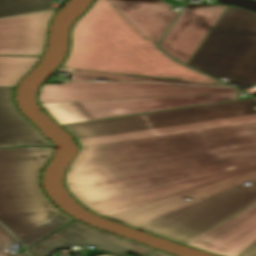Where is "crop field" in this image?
Here are the masks:
<instances>
[{"mask_svg":"<svg viewBox=\"0 0 256 256\" xmlns=\"http://www.w3.org/2000/svg\"><path fill=\"white\" fill-rule=\"evenodd\" d=\"M78 142L65 184L86 206L256 163V115Z\"/></svg>","mask_w":256,"mask_h":256,"instance_id":"1","label":"crop field"},{"mask_svg":"<svg viewBox=\"0 0 256 256\" xmlns=\"http://www.w3.org/2000/svg\"><path fill=\"white\" fill-rule=\"evenodd\" d=\"M62 67L219 83L170 60L107 0H96L75 23L71 50Z\"/></svg>","mask_w":256,"mask_h":256,"instance_id":"2","label":"crop field"},{"mask_svg":"<svg viewBox=\"0 0 256 256\" xmlns=\"http://www.w3.org/2000/svg\"><path fill=\"white\" fill-rule=\"evenodd\" d=\"M54 149H0V221L27 247L51 234L65 221L44 195L40 175Z\"/></svg>","mask_w":256,"mask_h":256,"instance_id":"3","label":"crop field"},{"mask_svg":"<svg viewBox=\"0 0 256 256\" xmlns=\"http://www.w3.org/2000/svg\"><path fill=\"white\" fill-rule=\"evenodd\" d=\"M188 66L224 76L232 80L226 84L242 85L239 90L256 84V14L228 6Z\"/></svg>","mask_w":256,"mask_h":256,"instance_id":"4","label":"crop field"},{"mask_svg":"<svg viewBox=\"0 0 256 256\" xmlns=\"http://www.w3.org/2000/svg\"><path fill=\"white\" fill-rule=\"evenodd\" d=\"M135 228L186 244L256 202V179Z\"/></svg>","mask_w":256,"mask_h":256,"instance_id":"5","label":"crop field"},{"mask_svg":"<svg viewBox=\"0 0 256 256\" xmlns=\"http://www.w3.org/2000/svg\"><path fill=\"white\" fill-rule=\"evenodd\" d=\"M256 100L249 98L225 103L147 113L132 117L65 127L77 140L208 120L256 114Z\"/></svg>","mask_w":256,"mask_h":256,"instance_id":"6","label":"crop field"},{"mask_svg":"<svg viewBox=\"0 0 256 256\" xmlns=\"http://www.w3.org/2000/svg\"><path fill=\"white\" fill-rule=\"evenodd\" d=\"M239 95L240 94H221L131 100L65 102L41 104V106L61 126L243 99V97ZM245 98H249V96Z\"/></svg>","mask_w":256,"mask_h":256,"instance_id":"7","label":"crop field"},{"mask_svg":"<svg viewBox=\"0 0 256 256\" xmlns=\"http://www.w3.org/2000/svg\"><path fill=\"white\" fill-rule=\"evenodd\" d=\"M219 93L241 92L230 88L204 86L63 82L62 85H43L39 95V102L130 99Z\"/></svg>","mask_w":256,"mask_h":256,"instance_id":"8","label":"crop field"},{"mask_svg":"<svg viewBox=\"0 0 256 256\" xmlns=\"http://www.w3.org/2000/svg\"><path fill=\"white\" fill-rule=\"evenodd\" d=\"M227 6L186 5L160 48L187 65Z\"/></svg>","mask_w":256,"mask_h":256,"instance_id":"9","label":"crop field"},{"mask_svg":"<svg viewBox=\"0 0 256 256\" xmlns=\"http://www.w3.org/2000/svg\"><path fill=\"white\" fill-rule=\"evenodd\" d=\"M93 246L98 251L123 256L128 252L148 256L156 251L136 242L107 234L79 222H72L45 240L30 247L33 256H49L66 246Z\"/></svg>","mask_w":256,"mask_h":256,"instance_id":"10","label":"crop field"},{"mask_svg":"<svg viewBox=\"0 0 256 256\" xmlns=\"http://www.w3.org/2000/svg\"><path fill=\"white\" fill-rule=\"evenodd\" d=\"M256 178V170L121 211L106 218L135 227ZM189 197L192 201L183 199Z\"/></svg>","mask_w":256,"mask_h":256,"instance_id":"11","label":"crop field"},{"mask_svg":"<svg viewBox=\"0 0 256 256\" xmlns=\"http://www.w3.org/2000/svg\"><path fill=\"white\" fill-rule=\"evenodd\" d=\"M256 242V203L186 244L220 256H239Z\"/></svg>","mask_w":256,"mask_h":256,"instance_id":"12","label":"crop field"},{"mask_svg":"<svg viewBox=\"0 0 256 256\" xmlns=\"http://www.w3.org/2000/svg\"><path fill=\"white\" fill-rule=\"evenodd\" d=\"M54 12L0 20V54L41 55Z\"/></svg>","mask_w":256,"mask_h":256,"instance_id":"13","label":"crop field"},{"mask_svg":"<svg viewBox=\"0 0 256 256\" xmlns=\"http://www.w3.org/2000/svg\"><path fill=\"white\" fill-rule=\"evenodd\" d=\"M145 38L157 43L177 13L158 0H108Z\"/></svg>","mask_w":256,"mask_h":256,"instance_id":"14","label":"crop field"},{"mask_svg":"<svg viewBox=\"0 0 256 256\" xmlns=\"http://www.w3.org/2000/svg\"><path fill=\"white\" fill-rule=\"evenodd\" d=\"M13 88L0 87V148L16 146L53 147L40 132L19 113L13 104Z\"/></svg>","mask_w":256,"mask_h":256,"instance_id":"15","label":"crop field"},{"mask_svg":"<svg viewBox=\"0 0 256 256\" xmlns=\"http://www.w3.org/2000/svg\"><path fill=\"white\" fill-rule=\"evenodd\" d=\"M254 169H256V165L87 206L86 208L95 214L105 216Z\"/></svg>","mask_w":256,"mask_h":256,"instance_id":"16","label":"crop field"},{"mask_svg":"<svg viewBox=\"0 0 256 256\" xmlns=\"http://www.w3.org/2000/svg\"><path fill=\"white\" fill-rule=\"evenodd\" d=\"M58 70L73 73L70 81H92L94 79H108L109 81H143V82H160V83L206 85V86H225V85H219V84L135 77V76L88 72V71H80V70H72V69H64V68H60Z\"/></svg>","mask_w":256,"mask_h":256,"instance_id":"17","label":"crop field"},{"mask_svg":"<svg viewBox=\"0 0 256 256\" xmlns=\"http://www.w3.org/2000/svg\"><path fill=\"white\" fill-rule=\"evenodd\" d=\"M39 58L0 57V86L14 87Z\"/></svg>","mask_w":256,"mask_h":256,"instance_id":"18","label":"crop field"},{"mask_svg":"<svg viewBox=\"0 0 256 256\" xmlns=\"http://www.w3.org/2000/svg\"><path fill=\"white\" fill-rule=\"evenodd\" d=\"M53 0H0V17L53 9Z\"/></svg>","mask_w":256,"mask_h":256,"instance_id":"19","label":"crop field"},{"mask_svg":"<svg viewBox=\"0 0 256 256\" xmlns=\"http://www.w3.org/2000/svg\"><path fill=\"white\" fill-rule=\"evenodd\" d=\"M16 242L18 241L0 225V256H13L3 250Z\"/></svg>","mask_w":256,"mask_h":256,"instance_id":"20","label":"crop field"},{"mask_svg":"<svg viewBox=\"0 0 256 256\" xmlns=\"http://www.w3.org/2000/svg\"><path fill=\"white\" fill-rule=\"evenodd\" d=\"M240 256H256V243L254 245H252L249 249H247Z\"/></svg>","mask_w":256,"mask_h":256,"instance_id":"21","label":"crop field"},{"mask_svg":"<svg viewBox=\"0 0 256 256\" xmlns=\"http://www.w3.org/2000/svg\"><path fill=\"white\" fill-rule=\"evenodd\" d=\"M56 216H58V217L64 219L67 223L70 222L71 220H73V219H71L70 217L66 216V215H65L64 213H62V212L59 213V214H57Z\"/></svg>","mask_w":256,"mask_h":256,"instance_id":"22","label":"crop field"},{"mask_svg":"<svg viewBox=\"0 0 256 256\" xmlns=\"http://www.w3.org/2000/svg\"><path fill=\"white\" fill-rule=\"evenodd\" d=\"M151 256H170L161 252L156 251L155 253H153Z\"/></svg>","mask_w":256,"mask_h":256,"instance_id":"23","label":"crop field"},{"mask_svg":"<svg viewBox=\"0 0 256 256\" xmlns=\"http://www.w3.org/2000/svg\"><path fill=\"white\" fill-rule=\"evenodd\" d=\"M19 256H27V254H26V252H25V253H23V254H21V255H19Z\"/></svg>","mask_w":256,"mask_h":256,"instance_id":"24","label":"crop field"},{"mask_svg":"<svg viewBox=\"0 0 256 256\" xmlns=\"http://www.w3.org/2000/svg\"><path fill=\"white\" fill-rule=\"evenodd\" d=\"M178 1L185 3V1H184V0H178Z\"/></svg>","mask_w":256,"mask_h":256,"instance_id":"25","label":"crop field"}]
</instances>
